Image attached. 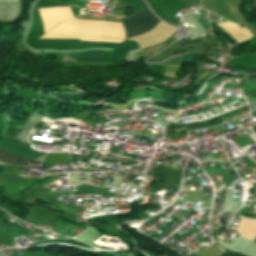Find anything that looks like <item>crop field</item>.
Here are the masks:
<instances>
[{
  "label": "crop field",
  "mask_w": 256,
  "mask_h": 256,
  "mask_svg": "<svg viewBox=\"0 0 256 256\" xmlns=\"http://www.w3.org/2000/svg\"><path fill=\"white\" fill-rule=\"evenodd\" d=\"M120 19L126 31V39L150 32L161 23L151 11L140 12L129 18Z\"/></svg>",
  "instance_id": "1"
},
{
  "label": "crop field",
  "mask_w": 256,
  "mask_h": 256,
  "mask_svg": "<svg viewBox=\"0 0 256 256\" xmlns=\"http://www.w3.org/2000/svg\"><path fill=\"white\" fill-rule=\"evenodd\" d=\"M31 158L19 156L10 152H7L0 148V161L23 165L28 162Z\"/></svg>",
  "instance_id": "2"
},
{
  "label": "crop field",
  "mask_w": 256,
  "mask_h": 256,
  "mask_svg": "<svg viewBox=\"0 0 256 256\" xmlns=\"http://www.w3.org/2000/svg\"><path fill=\"white\" fill-rule=\"evenodd\" d=\"M68 159H69L68 153H49L48 155H46L44 162L63 161ZM69 161L70 159L68 161H63V162H53V163H44V164H58V163H65Z\"/></svg>",
  "instance_id": "3"
},
{
  "label": "crop field",
  "mask_w": 256,
  "mask_h": 256,
  "mask_svg": "<svg viewBox=\"0 0 256 256\" xmlns=\"http://www.w3.org/2000/svg\"><path fill=\"white\" fill-rule=\"evenodd\" d=\"M253 130L256 132V127H254Z\"/></svg>",
  "instance_id": "4"
},
{
  "label": "crop field",
  "mask_w": 256,
  "mask_h": 256,
  "mask_svg": "<svg viewBox=\"0 0 256 256\" xmlns=\"http://www.w3.org/2000/svg\"><path fill=\"white\" fill-rule=\"evenodd\" d=\"M255 240H256V238H255Z\"/></svg>",
  "instance_id": "5"
}]
</instances>
